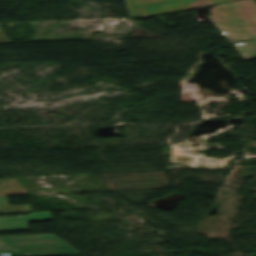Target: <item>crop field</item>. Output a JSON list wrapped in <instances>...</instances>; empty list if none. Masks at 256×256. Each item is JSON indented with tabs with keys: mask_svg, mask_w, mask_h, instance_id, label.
<instances>
[{
	"mask_svg": "<svg viewBox=\"0 0 256 256\" xmlns=\"http://www.w3.org/2000/svg\"><path fill=\"white\" fill-rule=\"evenodd\" d=\"M80 254L52 234L0 236V256H54Z\"/></svg>",
	"mask_w": 256,
	"mask_h": 256,
	"instance_id": "crop-field-2",
	"label": "crop field"
},
{
	"mask_svg": "<svg viewBox=\"0 0 256 256\" xmlns=\"http://www.w3.org/2000/svg\"><path fill=\"white\" fill-rule=\"evenodd\" d=\"M244 59L256 57V39L232 44Z\"/></svg>",
	"mask_w": 256,
	"mask_h": 256,
	"instance_id": "crop-field-5",
	"label": "crop field"
},
{
	"mask_svg": "<svg viewBox=\"0 0 256 256\" xmlns=\"http://www.w3.org/2000/svg\"><path fill=\"white\" fill-rule=\"evenodd\" d=\"M28 211H31V205L10 206L8 197H0V213L28 212Z\"/></svg>",
	"mask_w": 256,
	"mask_h": 256,
	"instance_id": "crop-field-6",
	"label": "crop field"
},
{
	"mask_svg": "<svg viewBox=\"0 0 256 256\" xmlns=\"http://www.w3.org/2000/svg\"><path fill=\"white\" fill-rule=\"evenodd\" d=\"M51 220L50 212H32L27 216L0 217V231L28 229V221Z\"/></svg>",
	"mask_w": 256,
	"mask_h": 256,
	"instance_id": "crop-field-4",
	"label": "crop field"
},
{
	"mask_svg": "<svg viewBox=\"0 0 256 256\" xmlns=\"http://www.w3.org/2000/svg\"><path fill=\"white\" fill-rule=\"evenodd\" d=\"M235 0H125L130 17L139 18Z\"/></svg>",
	"mask_w": 256,
	"mask_h": 256,
	"instance_id": "crop-field-3",
	"label": "crop field"
},
{
	"mask_svg": "<svg viewBox=\"0 0 256 256\" xmlns=\"http://www.w3.org/2000/svg\"><path fill=\"white\" fill-rule=\"evenodd\" d=\"M255 0H240L210 7L211 19L230 43L256 38ZM244 20L245 23H241Z\"/></svg>",
	"mask_w": 256,
	"mask_h": 256,
	"instance_id": "crop-field-1",
	"label": "crop field"
}]
</instances>
